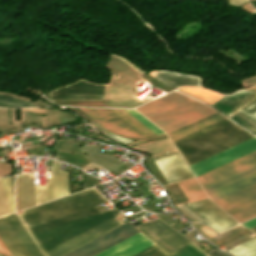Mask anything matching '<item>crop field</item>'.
Segmentation results:
<instances>
[{
  "instance_id": "obj_1",
  "label": "crop field",
  "mask_w": 256,
  "mask_h": 256,
  "mask_svg": "<svg viewBox=\"0 0 256 256\" xmlns=\"http://www.w3.org/2000/svg\"><path fill=\"white\" fill-rule=\"evenodd\" d=\"M119 213L117 209L103 212L33 235V238L45 256H62L123 224Z\"/></svg>"
},
{
  "instance_id": "obj_2",
  "label": "crop field",
  "mask_w": 256,
  "mask_h": 256,
  "mask_svg": "<svg viewBox=\"0 0 256 256\" xmlns=\"http://www.w3.org/2000/svg\"><path fill=\"white\" fill-rule=\"evenodd\" d=\"M166 133L216 112L211 107L172 91L136 108Z\"/></svg>"
},
{
  "instance_id": "obj_3",
  "label": "crop field",
  "mask_w": 256,
  "mask_h": 256,
  "mask_svg": "<svg viewBox=\"0 0 256 256\" xmlns=\"http://www.w3.org/2000/svg\"><path fill=\"white\" fill-rule=\"evenodd\" d=\"M215 203L240 223L253 218L256 216V184L219 199Z\"/></svg>"
},
{
  "instance_id": "obj_4",
  "label": "crop field",
  "mask_w": 256,
  "mask_h": 256,
  "mask_svg": "<svg viewBox=\"0 0 256 256\" xmlns=\"http://www.w3.org/2000/svg\"><path fill=\"white\" fill-rule=\"evenodd\" d=\"M136 228L168 253L191 243L158 219L138 225Z\"/></svg>"
},
{
  "instance_id": "obj_5",
  "label": "crop field",
  "mask_w": 256,
  "mask_h": 256,
  "mask_svg": "<svg viewBox=\"0 0 256 256\" xmlns=\"http://www.w3.org/2000/svg\"><path fill=\"white\" fill-rule=\"evenodd\" d=\"M223 118H225L223 115H221L220 113L216 112V113H214L212 115H209V116H207L205 118H202V119H200L198 121H195V122H193V123H191L189 125H186V126H184L182 128H179V129H177L175 131H172V132L168 133V136L171 138L172 141H174V140H176V139H178L180 137H183V136H185V135H187L189 133H192V132H194V131H196L198 129H201V128H203V127H205L207 125H210V124H212V123H214L216 121H219V120H221ZM230 123H232V122L229 119L225 118V119H223V120H221L219 122H216V123H214V124H212L210 126H207V127L203 128L201 130H198V131H196V132H194L192 134H189V135H187V136H185L183 138H180V139L174 141L173 143H174L175 147H177V146H179L181 144H184V143H186L188 141H191V140H193L195 138H198V137H200L202 135H205V134H207V133H209L211 131H214V130H216L218 128H221V127H223L225 125H228Z\"/></svg>"
},
{
  "instance_id": "obj_6",
  "label": "crop field",
  "mask_w": 256,
  "mask_h": 256,
  "mask_svg": "<svg viewBox=\"0 0 256 256\" xmlns=\"http://www.w3.org/2000/svg\"><path fill=\"white\" fill-rule=\"evenodd\" d=\"M137 232L128 222L64 256H93Z\"/></svg>"
},
{
  "instance_id": "obj_7",
  "label": "crop field",
  "mask_w": 256,
  "mask_h": 256,
  "mask_svg": "<svg viewBox=\"0 0 256 256\" xmlns=\"http://www.w3.org/2000/svg\"><path fill=\"white\" fill-rule=\"evenodd\" d=\"M106 85L80 80L70 86L49 93L52 101L103 100Z\"/></svg>"
},
{
  "instance_id": "obj_8",
  "label": "crop field",
  "mask_w": 256,
  "mask_h": 256,
  "mask_svg": "<svg viewBox=\"0 0 256 256\" xmlns=\"http://www.w3.org/2000/svg\"><path fill=\"white\" fill-rule=\"evenodd\" d=\"M256 150V137L190 166L195 177Z\"/></svg>"
},
{
  "instance_id": "obj_9",
  "label": "crop field",
  "mask_w": 256,
  "mask_h": 256,
  "mask_svg": "<svg viewBox=\"0 0 256 256\" xmlns=\"http://www.w3.org/2000/svg\"><path fill=\"white\" fill-rule=\"evenodd\" d=\"M256 166L204 188L213 201L256 183Z\"/></svg>"
},
{
  "instance_id": "obj_10",
  "label": "crop field",
  "mask_w": 256,
  "mask_h": 256,
  "mask_svg": "<svg viewBox=\"0 0 256 256\" xmlns=\"http://www.w3.org/2000/svg\"><path fill=\"white\" fill-rule=\"evenodd\" d=\"M79 109L110 132L132 139L145 138V136H143L109 109Z\"/></svg>"
},
{
  "instance_id": "obj_11",
  "label": "crop field",
  "mask_w": 256,
  "mask_h": 256,
  "mask_svg": "<svg viewBox=\"0 0 256 256\" xmlns=\"http://www.w3.org/2000/svg\"><path fill=\"white\" fill-rule=\"evenodd\" d=\"M253 165H256V151L201 175L202 180L199 182L204 188Z\"/></svg>"
},
{
  "instance_id": "obj_12",
  "label": "crop field",
  "mask_w": 256,
  "mask_h": 256,
  "mask_svg": "<svg viewBox=\"0 0 256 256\" xmlns=\"http://www.w3.org/2000/svg\"><path fill=\"white\" fill-rule=\"evenodd\" d=\"M153 244L155 243L139 232L95 256H132Z\"/></svg>"
},
{
  "instance_id": "obj_13",
  "label": "crop field",
  "mask_w": 256,
  "mask_h": 256,
  "mask_svg": "<svg viewBox=\"0 0 256 256\" xmlns=\"http://www.w3.org/2000/svg\"><path fill=\"white\" fill-rule=\"evenodd\" d=\"M255 97V92L242 90L241 92L232 96H223L211 105L230 116Z\"/></svg>"
},
{
  "instance_id": "obj_14",
  "label": "crop field",
  "mask_w": 256,
  "mask_h": 256,
  "mask_svg": "<svg viewBox=\"0 0 256 256\" xmlns=\"http://www.w3.org/2000/svg\"><path fill=\"white\" fill-rule=\"evenodd\" d=\"M100 213L96 206L28 228L31 235Z\"/></svg>"
},
{
  "instance_id": "obj_15",
  "label": "crop field",
  "mask_w": 256,
  "mask_h": 256,
  "mask_svg": "<svg viewBox=\"0 0 256 256\" xmlns=\"http://www.w3.org/2000/svg\"><path fill=\"white\" fill-rule=\"evenodd\" d=\"M5 219L27 250L30 256H43L16 214L5 216Z\"/></svg>"
},
{
  "instance_id": "obj_16",
  "label": "crop field",
  "mask_w": 256,
  "mask_h": 256,
  "mask_svg": "<svg viewBox=\"0 0 256 256\" xmlns=\"http://www.w3.org/2000/svg\"><path fill=\"white\" fill-rule=\"evenodd\" d=\"M0 238L12 256H29L4 217L0 218Z\"/></svg>"
},
{
  "instance_id": "obj_17",
  "label": "crop field",
  "mask_w": 256,
  "mask_h": 256,
  "mask_svg": "<svg viewBox=\"0 0 256 256\" xmlns=\"http://www.w3.org/2000/svg\"><path fill=\"white\" fill-rule=\"evenodd\" d=\"M155 78L162 81L163 83L177 88L182 85H197L200 86V79L193 76L182 75L167 71H157Z\"/></svg>"
},
{
  "instance_id": "obj_18",
  "label": "crop field",
  "mask_w": 256,
  "mask_h": 256,
  "mask_svg": "<svg viewBox=\"0 0 256 256\" xmlns=\"http://www.w3.org/2000/svg\"><path fill=\"white\" fill-rule=\"evenodd\" d=\"M178 184L182 188L189 201L206 198V195L202 191L195 178L179 181Z\"/></svg>"
},
{
  "instance_id": "obj_19",
  "label": "crop field",
  "mask_w": 256,
  "mask_h": 256,
  "mask_svg": "<svg viewBox=\"0 0 256 256\" xmlns=\"http://www.w3.org/2000/svg\"><path fill=\"white\" fill-rule=\"evenodd\" d=\"M178 90L186 94H189L197 99H200L208 104L213 103L214 101H216L218 98L222 96L205 89L194 88V87H181Z\"/></svg>"
},
{
  "instance_id": "obj_20",
  "label": "crop field",
  "mask_w": 256,
  "mask_h": 256,
  "mask_svg": "<svg viewBox=\"0 0 256 256\" xmlns=\"http://www.w3.org/2000/svg\"><path fill=\"white\" fill-rule=\"evenodd\" d=\"M110 110H112L114 113H116L118 116H120L122 119H124L127 123H129L131 126H133L135 129H137L146 137H151L156 135L124 109H110Z\"/></svg>"
},
{
  "instance_id": "obj_21",
  "label": "crop field",
  "mask_w": 256,
  "mask_h": 256,
  "mask_svg": "<svg viewBox=\"0 0 256 256\" xmlns=\"http://www.w3.org/2000/svg\"><path fill=\"white\" fill-rule=\"evenodd\" d=\"M228 251L235 256H256V238Z\"/></svg>"
},
{
  "instance_id": "obj_22",
  "label": "crop field",
  "mask_w": 256,
  "mask_h": 256,
  "mask_svg": "<svg viewBox=\"0 0 256 256\" xmlns=\"http://www.w3.org/2000/svg\"><path fill=\"white\" fill-rule=\"evenodd\" d=\"M0 106L3 107H27L32 106V102L20 99L11 95L0 94Z\"/></svg>"
},
{
  "instance_id": "obj_23",
  "label": "crop field",
  "mask_w": 256,
  "mask_h": 256,
  "mask_svg": "<svg viewBox=\"0 0 256 256\" xmlns=\"http://www.w3.org/2000/svg\"><path fill=\"white\" fill-rule=\"evenodd\" d=\"M168 256H206L192 243Z\"/></svg>"
},
{
  "instance_id": "obj_24",
  "label": "crop field",
  "mask_w": 256,
  "mask_h": 256,
  "mask_svg": "<svg viewBox=\"0 0 256 256\" xmlns=\"http://www.w3.org/2000/svg\"><path fill=\"white\" fill-rule=\"evenodd\" d=\"M166 255L167 253L164 252L160 247H158L155 244L134 256H166Z\"/></svg>"
},
{
  "instance_id": "obj_25",
  "label": "crop field",
  "mask_w": 256,
  "mask_h": 256,
  "mask_svg": "<svg viewBox=\"0 0 256 256\" xmlns=\"http://www.w3.org/2000/svg\"><path fill=\"white\" fill-rule=\"evenodd\" d=\"M127 110V109H125ZM130 114H132L135 118H137L139 121H141L144 125H146L149 129H151L154 133L157 135L165 134L161 130H159L157 127H155L153 124H151L149 121H147L145 118H143L141 115H139L134 110H127Z\"/></svg>"
},
{
  "instance_id": "obj_26",
  "label": "crop field",
  "mask_w": 256,
  "mask_h": 256,
  "mask_svg": "<svg viewBox=\"0 0 256 256\" xmlns=\"http://www.w3.org/2000/svg\"><path fill=\"white\" fill-rule=\"evenodd\" d=\"M192 226L200 233L202 234L206 239L216 235L215 232H213L211 229H209L207 226L204 224H199V223H193L190 222Z\"/></svg>"
},
{
  "instance_id": "obj_27",
  "label": "crop field",
  "mask_w": 256,
  "mask_h": 256,
  "mask_svg": "<svg viewBox=\"0 0 256 256\" xmlns=\"http://www.w3.org/2000/svg\"><path fill=\"white\" fill-rule=\"evenodd\" d=\"M240 111L256 118V99L251 102L249 105L242 108Z\"/></svg>"
},
{
  "instance_id": "obj_28",
  "label": "crop field",
  "mask_w": 256,
  "mask_h": 256,
  "mask_svg": "<svg viewBox=\"0 0 256 256\" xmlns=\"http://www.w3.org/2000/svg\"><path fill=\"white\" fill-rule=\"evenodd\" d=\"M11 173L10 163H0V176Z\"/></svg>"
},
{
  "instance_id": "obj_29",
  "label": "crop field",
  "mask_w": 256,
  "mask_h": 256,
  "mask_svg": "<svg viewBox=\"0 0 256 256\" xmlns=\"http://www.w3.org/2000/svg\"><path fill=\"white\" fill-rule=\"evenodd\" d=\"M0 254L4 256H11V254L9 253V251L7 250V248L5 247L1 239H0Z\"/></svg>"
},
{
  "instance_id": "obj_30",
  "label": "crop field",
  "mask_w": 256,
  "mask_h": 256,
  "mask_svg": "<svg viewBox=\"0 0 256 256\" xmlns=\"http://www.w3.org/2000/svg\"><path fill=\"white\" fill-rule=\"evenodd\" d=\"M242 225H244L246 228L250 229V228L256 226V218L249 220V221L243 223Z\"/></svg>"
},
{
  "instance_id": "obj_31",
  "label": "crop field",
  "mask_w": 256,
  "mask_h": 256,
  "mask_svg": "<svg viewBox=\"0 0 256 256\" xmlns=\"http://www.w3.org/2000/svg\"><path fill=\"white\" fill-rule=\"evenodd\" d=\"M23 110L45 114V108H29V109H23Z\"/></svg>"
},
{
  "instance_id": "obj_32",
  "label": "crop field",
  "mask_w": 256,
  "mask_h": 256,
  "mask_svg": "<svg viewBox=\"0 0 256 256\" xmlns=\"http://www.w3.org/2000/svg\"><path fill=\"white\" fill-rule=\"evenodd\" d=\"M239 115H241L242 117H244L245 119H247L248 121H250L251 123H253L256 126V121H254L253 119H250L249 117H247L246 115L242 114L241 112H236Z\"/></svg>"
},
{
  "instance_id": "obj_33",
  "label": "crop field",
  "mask_w": 256,
  "mask_h": 256,
  "mask_svg": "<svg viewBox=\"0 0 256 256\" xmlns=\"http://www.w3.org/2000/svg\"><path fill=\"white\" fill-rule=\"evenodd\" d=\"M252 6L256 9V0H248Z\"/></svg>"
},
{
  "instance_id": "obj_34",
  "label": "crop field",
  "mask_w": 256,
  "mask_h": 256,
  "mask_svg": "<svg viewBox=\"0 0 256 256\" xmlns=\"http://www.w3.org/2000/svg\"><path fill=\"white\" fill-rule=\"evenodd\" d=\"M164 136H167V135L158 136V137H153V138H160V137H164ZM153 138H148V139H153ZM143 140H145V139H143ZM138 141H140V140H138ZM138 141H134V142H132V143H130V144L136 143V142H138ZM130 144H128V145H130Z\"/></svg>"
},
{
  "instance_id": "obj_35",
  "label": "crop field",
  "mask_w": 256,
  "mask_h": 256,
  "mask_svg": "<svg viewBox=\"0 0 256 256\" xmlns=\"http://www.w3.org/2000/svg\"><path fill=\"white\" fill-rule=\"evenodd\" d=\"M8 123H11V110H8Z\"/></svg>"
},
{
  "instance_id": "obj_36",
  "label": "crop field",
  "mask_w": 256,
  "mask_h": 256,
  "mask_svg": "<svg viewBox=\"0 0 256 256\" xmlns=\"http://www.w3.org/2000/svg\"><path fill=\"white\" fill-rule=\"evenodd\" d=\"M166 138H168V137L160 138V139H166ZM155 140H159V139H155ZM148 141H152V140H148ZM143 142H147V141H143ZM143 142H139V143H143ZM136 144H138V143H136ZM136 144H133V145H130V146H134V145H136Z\"/></svg>"
},
{
  "instance_id": "obj_37",
  "label": "crop field",
  "mask_w": 256,
  "mask_h": 256,
  "mask_svg": "<svg viewBox=\"0 0 256 256\" xmlns=\"http://www.w3.org/2000/svg\"><path fill=\"white\" fill-rule=\"evenodd\" d=\"M247 89L256 90V86H253V87H250V88H247Z\"/></svg>"
},
{
  "instance_id": "obj_38",
  "label": "crop field",
  "mask_w": 256,
  "mask_h": 256,
  "mask_svg": "<svg viewBox=\"0 0 256 256\" xmlns=\"http://www.w3.org/2000/svg\"><path fill=\"white\" fill-rule=\"evenodd\" d=\"M251 231H253L254 233H256V227L250 229Z\"/></svg>"
}]
</instances>
